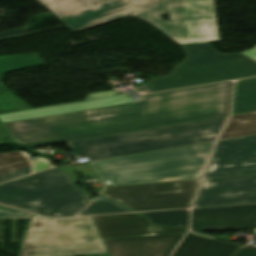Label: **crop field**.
Here are the masks:
<instances>
[{"instance_id": "2", "label": "crop field", "mask_w": 256, "mask_h": 256, "mask_svg": "<svg viewBox=\"0 0 256 256\" xmlns=\"http://www.w3.org/2000/svg\"><path fill=\"white\" fill-rule=\"evenodd\" d=\"M75 32L128 16L177 44L220 41L214 0H37ZM168 14L170 21L161 15Z\"/></svg>"}, {"instance_id": "25", "label": "crop field", "mask_w": 256, "mask_h": 256, "mask_svg": "<svg viewBox=\"0 0 256 256\" xmlns=\"http://www.w3.org/2000/svg\"><path fill=\"white\" fill-rule=\"evenodd\" d=\"M242 53L256 61V46L254 48H252L248 51H244Z\"/></svg>"}, {"instance_id": "24", "label": "crop field", "mask_w": 256, "mask_h": 256, "mask_svg": "<svg viewBox=\"0 0 256 256\" xmlns=\"http://www.w3.org/2000/svg\"><path fill=\"white\" fill-rule=\"evenodd\" d=\"M49 167L48 161H45L41 158L37 159V161L34 164L33 172L45 170Z\"/></svg>"}, {"instance_id": "14", "label": "crop field", "mask_w": 256, "mask_h": 256, "mask_svg": "<svg viewBox=\"0 0 256 256\" xmlns=\"http://www.w3.org/2000/svg\"><path fill=\"white\" fill-rule=\"evenodd\" d=\"M43 62L35 54L0 56V77L6 71L41 65ZM31 109L29 105L11 94L0 82V114ZM13 140L0 122V143H11Z\"/></svg>"}, {"instance_id": "9", "label": "crop field", "mask_w": 256, "mask_h": 256, "mask_svg": "<svg viewBox=\"0 0 256 256\" xmlns=\"http://www.w3.org/2000/svg\"><path fill=\"white\" fill-rule=\"evenodd\" d=\"M247 174H256V135L218 141L204 178Z\"/></svg>"}, {"instance_id": "19", "label": "crop field", "mask_w": 256, "mask_h": 256, "mask_svg": "<svg viewBox=\"0 0 256 256\" xmlns=\"http://www.w3.org/2000/svg\"><path fill=\"white\" fill-rule=\"evenodd\" d=\"M137 214L145 215L149 218L150 223H155L157 225H177L188 228L189 211L187 210L144 212Z\"/></svg>"}, {"instance_id": "4", "label": "crop field", "mask_w": 256, "mask_h": 256, "mask_svg": "<svg viewBox=\"0 0 256 256\" xmlns=\"http://www.w3.org/2000/svg\"><path fill=\"white\" fill-rule=\"evenodd\" d=\"M220 117L176 126L66 143L75 158L88 161L216 140L226 119Z\"/></svg>"}, {"instance_id": "23", "label": "crop field", "mask_w": 256, "mask_h": 256, "mask_svg": "<svg viewBox=\"0 0 256 256\" xmlns=\"http://www.w3.org/2000/svg\"><path fill=\"white\" fill-rule=\"evenodd\" d=\"M29 28H30V26L29 27L17 28V29H12V30H8V31L0 32V38H4V37H8V36H13V35L24 33Z\"/></svg>"}, {"instance_id": "7", "label": "crop field", "mask_w": 256, "mask_h": 256, "mask_svg": "<svg viewBox=\"0 0 256 256\" xmlns=\"http://www.w3.org/2000/svg\"><path fill=\"white\" fill-rule=\"evenodd\" d=\"M181 46L187 57L171 75L146 84L152 92L256 76V62L241 53L218 54L208 43Z\"/></svg>"}, {"instance_id": "5", "label": "crop field", "mask_w": 256, "mask_h": 256, "mask_svg": "<svg viewBox=\"0 0 256 256\" xmlns=\"http://www.w3.org/2000/svg\"><path fill=\"white\" fill-rule=\"evenodd\" d=\"M75 174L61 167L0 184V203L44 216H73L90 196L73 183Z\"/></svg>"}, {"instance_id": "17", "label": "crop field", "mask_w": 256, "mask_h": 256, "mask_svg": "<svg viewBox=\"0 0 256 256\" xmlns=\"http://www.w3.org/2000/svg\"><path fill=\"white\" fill-rule=\"evenodd\" d=\"M256 111V78L236 82L232 115Z\"/></svg>"}, {"instance_id": "1", "label": "crop field", "mask_w": 256, "mask_h": 256, "mask_svg": "<svg viewBox=\"0 0 256 256\" xmlns=\"http://www.w3.org/2000/svg\"><path fill=\"white\" fill-rule=\"evenodd\" d=\"M231 89V82H222L137 102L109 90L84 101L1 114L0 120L15 143L33 147L229 115Z\"/></svg>"}, {"instance_id": "12", "label": "crop field", "mask_w": 256, "mask_h": 256, "mask_svg": "<svg viewBox=\"0 0 256 256\" xmlns=\"http://www.w3.org/2000/svg\"><path fill=\"white\" fill-rule=\"evenodd\" d=\"M101 238L186 233L181 228L158 227L134 214H116L91 217Z\"/></svg>"}, {"instance_id": "13", "label": "crop field", "mask_w": 256, "mask_h": 256, "mask_svg": "<svg viewBox=\"0 0 256 256\" xmlns=\"http://www.w3.org/2000/svg\"><path fill=\"white\" fill-rule=\"evenodd\" d=\"M184 234L103 240L110 256H169Z\"/></svg>"}, {"instance_id": "22", "label": "crop field", "mask_w": 256, "mask_h": 256, "mask_svg": "<svg viewBox=\"0 0 256 256\" xmlns=\"http://www.w3.org/2000/svg\"><path fill=\"white\" fill-rule=\"evenodd\" d=\"M235 256H256V248L249 246H241Z\"/></svg>"}, {"instance_id": "10", "label": "crop field", "mask_w": 256, "mask_h": 256, "mask_svg": "<svg viewBox=\"0 0 256 256\" xmlns=\"http://www.w3.org/2000/svg\"><path fill=\"white\" fill-rule=\"evenodd\" d=\"M256 203V175L204 179L193 208Z\"/></svg>"}, {"instance_id": "21", "label": "crop field", "mask_w": 256, "mask_h": 256, "mask_svg": "<svg viewBox=\"0 0 256 256\" xmlns=\"http://www.w3.org/2000/svg\"><path fill=\"white\" fill-rule=\"evenodd\" d=\"M31 215V213L0 205V218H24L31 217Z\"/></svg>"}, {"instance_id": "15", "label": "crop field", "mask_w": 256, "mask_h": 256, "mask_svg": "<svg viewBox=\"0 0 256 256\" xmlns=\"http://www.w3.org/2000/svg\"><path fill=\"white\" fill-rule=\"evenodd\" d=\"M237 245L186 234L173 256H232Z\"/></svg>"}, {"instance_id": "3", "label": "crop field", "mask_w": 256, "mask_h": 256, "mask_svg": "<svg viewBox=\"0 0 256 256\" xmlns=\"http://www.w3.org/2000/svg\"><path fill=\"white\" fill-rule=\"evenodd\" d=\"M215 142L70 166L113 186L200 178Z\"/></svg>"}, {"instance_id": "18", "label": "crop field", "mask_w": 256, "mask_h": 256, "mask_svg": "<svg viewBox=\"0 0 256 256\" xmlns=\"http://www.w3.org/2000/svg\"><path fill=\"white\" fill-rule=\"evenodd\" d=\"M256 134V112L231 116L221 139Z\"/></svg>"}, {"instance_id": "6", "label": "crop field", "mask_w": 256, "mask_h": 256, "mask_svg": "<svg viewBox=\"0 0 256 256\" xmlns=\"http://www.w3.org/2000/svg\"><path fill=\"white\" fill-rule=\"evenodd\" d=\"M107 253L90 217L48 219L32 215L17 256Z\"/></svg>"}, {"instance_id": "8", "label": "crop field", "mask_w": 256, "mask_h": 256, "mask_svg": "<svg viewBox=\"0 0 256 256\" xmlns=\"http://www.w3.org/2000/svg\"><path fill=\"white\" fill-rule=\"evenodd\" d=\"M200 180L105 188L102 197L133 211L190 207Z\"/></svg>"}, {"instance_id": "26", "label": "crop field", "mask_w": 256, "mask_h": 256, "mask_svg": "<svg viewBox=\"0 0 256 256\" xmlns=\"http://www.w3.org/2000/svg\"><path fill=\"white\" fill-rule=\"evenodd\" d=\"M255 230V232H256V229H254Z\"/></svg>"}, {"instance_id": "20", "label": "crop field", "mask_w": 256, "mask_h": 256, "mask_svg": "<svg viewBox=\"0 0 256 256\" xmlns=\"http://www.w3.org/2000/svg\"><path fill=\"white\" fill-rule=\"evenodd\" d=\"M124 211H130V210L121 206L116 202L105 199L104 201L90 204L79 215L124 212Z\"/></svg>"}, {"instance_id": "11", "label": "crop field", "mask_w": 256, "mask_h": 256, "mask_svg": "<svg viewBox=\"0 0 256 256\" xmlns=\"http://www.w3.org/2000/svg\"><path fill=\"white\" fill-rule=\"evenodd\" d=\"M192 211L191 228L197 231L256 228V205Z\"/></svg>"}, {"instance_id": "16", "label": "crop field", "mask_w": 256, "mask_h": 256, "mask_svg": "<svg viewBox=\"0 0 256 256\" xmlns=\"http://www.w3.org/2000/svg\"><path fill=\"white\" fill-rule=\"evenodd\" d=\"M31 173L28 153L22 151L0 154V182Z\"/></svg>"}]
</instances>
